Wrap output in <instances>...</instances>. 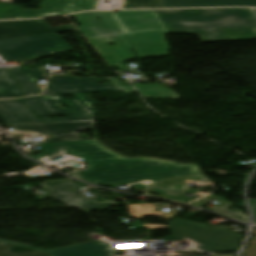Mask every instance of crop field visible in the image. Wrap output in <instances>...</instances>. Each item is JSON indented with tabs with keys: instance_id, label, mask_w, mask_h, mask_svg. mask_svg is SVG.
<instances>
[{
	"instance_id": "obj_1",
	"label": "crop field",
	"mask_w": 256,
	"mask_h": 256,
	"mask_svg": "<svg viewBox=\"0 0 256 256\" xmlns=\"http://www.w3.org/2000/svg\"><path fill=\"white\" fill-rule=\"evenodd\" d=\"M40 147L43 153L30 157L38 160L59 150L81 156L87 169L69 176L95 185L202 174L196 164L181 165L151 158L127 159L96 140L41 144Z\"/></svg>"
},
{
	"instance_id": "obj_2",
	"label": "crop field",
	"mask_w": 256,
	"mask_h": 256,
	"mask_svg": "<svg viewBox=\"0 0 256 256\" xmlns=\"http://www.w3.org/2000/svg\"><path fill=\"white\" fill-rule=\"evenodd\" d=\"M156 12L169 33L198 34L202 42L256 39V19L251 9L156 10Z\"/></svg>"
},
{
	"instance_id": "obj_3",
	"label": "crop field",
	"mask_w": 256,
	"mask_h": 256,
	"mask_svg": "<svg viewBox=\"0 0 256 256\" xmlns=\"http://www.w3.org/2000/svg\"><path fill=\"white\" fill-rule=\"evenodd\" d=\"M79 29L88 39L108 35H125L166 31L155 10L87 12L74 15ZM102 18V21L96 19Z\"/></svg>"
},
{
	"instance_id": "obj_4",
	"label": "crop field",
	"mask_w": 256,
	"mask_h": 256,
	"mask_svg": "<svg viewBox=\"0 0 256 256\" xmlns=\"http://www.w3.org/2000/svg\"><path fill=\"white\" fill-rule=\"evenodd\" d=\"M173 236L164 240H189L192 247L207 252H237L243 234L227 229L181 220L177 217L168 222Z\"/></svg>"
},
{
	"instance_id": "obj_5",
	"label": "crop field",
	"mask_w": 256,
	"mask_h": 256,
	"mask_svg": "<svg viewBox=\"0 0 256 256\" xmlns=\"http://www.w3.org/2000/svg\"><path fill=\"white\" fill-rule=\"evenodd\" d=\"M166 33L168 32L125 36L114 35L91 39L89 41L95 46L110 66H118L121 70H124L125 68L119 61L136 58L128 47L136 45L139 54L166 52L167 49H169L163 36V34ZM111 41H115L117 45L109 47L107 42Z\"/></svg>"
},
{
	"instance_id": "obj_6",
	"label": "crop field",
	"mask_w": 256,
	"mask_h": 256,
	"mask_svg": "<svg viewBox=\"0 0 256 256\" xmlns=\"http://www.w3.org/2000/svg\"><path fill=\"white\" fill-rule=\"evenodd\" d=\"M73 100H65L61 96L32 97L20 99L37 117H43L45 122L92 120L99 114L90 105L96 104L85 94L74 95ZM67 103L70 108H63L59 104ZM45 114L65 115L67 118L48 119Z\"/></svg>"
},
{
	"instance_id": "obj_7",
	"label": "crop field",
	"mask_w": 256,
	"mask_h": 256,
	"mask_svg": "<svg viewBox=\"0 0 256 256\" xmlns=\"http://www.w3.org/2000/svg\"><path fill=\"white\" fill-rule=\"evenodd\" d=\"M39 49L58 51L72 48L57 34L0 41V56L7 62L36 58L38 56L33 52Z\"/></svg>"
},
{
	"instance_id": "obj_8",
	"label": "crop field",
	"mask_w": 256,
	"mask_h": 256,
	"mask_svg": "<svg viewBox=\"0 0 256 256\" xmlns=\"http://www.w3.org/2000/svg\"><path fill=\"white\" fill-rule=\"evenodd\" d=\"M13 70L26 96L36 95L42 91L38 88L37 79L45 76L41 75L40 69L26 70L23 67L10 68ZM23 93L10 74L8 69H0V98H12L22 96Z\"/></svg>"
},
{
	"instance_id": "obj_9",
	"label": "crop field",
	"mask_w": 256,
	"mask_h": 256,
	"mask_svg": "<svg viewBox=\"0 0 256 256\" xmlns=\"http://www.w3.org/2000/svg\"><path fill=\"white\" fill-rule=\"evenodd\" d=\"M7 127L15 128L18 131L25 130L34 131L38 133L50 132L53 135L54 139L44 140L45 143L96 139L89 138L87 136L80 135L77 133V131L95 129L93 121L58 122L34 125H15Z\"/></svg>"
},
{
	"instance_id": "obj_10",
	"label": "crop field",
	"mask_w": 256,
	"mask_h": 256,
	"mask_svg": "<svg viewBox=\"0 0 256 256\" xmlns=\"http://www.w3.org/2000/svg\"><path fill=\"white\" fill-rule=\"evenodd\" d=\"M45 186L47 191H49L51 198L62 201L64 203L74 202L81 206L86 212L117 206L112 201H94L93 197L95 196L93 194L88 191H81L80 186L75 184L73 181L49 184Z\"/></svg>"
},
{
	"instance_id": "obj_11",
	"label": "crop field",
	"mask_w": 256,
	"mask_h": 256,
	"mask_svg": "<svg viewBox=\"0 0 256 256\" xmlns=\"http://www.w3.org/2000/svg\"><path fill=\"white\" fill-rule=\"evenodd\" d=\"M100 79H74V77H53L43 96L66 95L88 93L108 90L109 92L119 91L112 84L99 85Z\"/></svg>"
},
{
	"instance_id": "obj_12",
	"label": "crop field",
	"mask_w": 256,
	"mask_h": 256,
	"mask_svg": "<svg viewBox=\"0 0 256 256\" xmlns=\"http://www.w3.org/2000/svg\"><path fill=\"white\" fill-rule=\"evenodd\" d=\"M76 30L73 25L52 28L43 20L0 22V39L60 33Z\"/></svg>"
},
{
	"instance_id": "obj_13",
	"label": "crop field",
	"mask_w": 256,
	"mask_h": 256,
	"mask_svg": "<svg viewBox=\"0 0 256 256\" xmlns=\"http://www.w3.org/2000/svg\"><path fill=\"white\" fill-rule=\"evenodd\" d=\"M0 119L5 125L43 123L17 100L0 101Z\"/></svg>"
},
{
	"instance_id": "obj_14",
	"label": "crop field",
	"mask_w": 256,
	"mask_h": 256,
	"mask_svg": "<svg viewBox=\"0 0 256 256\" xmlns=\"http://www.w3.org/2000/svg\"><path fill=\"white\" fill-rule=\"evenodd\" d=\"M112 249V248H111ZM102 241L55 248L49 250L52 256H113L114 252Z\"/></svg>"
},
{
	"instance_id": "obj_15",
	"label": "crop field",
	"mask_w": 256,
	"mask_h": 256,
	"mask_svg": "<svg viewBox=\"0 0 256 256\" xmlns=\"http://www.w3.org/2000/svg\"><path fill=\"white\" fill-rule=\"evenodd\" d=\"M161 8L250 6L256 7V0H159Z\"/></svg>"
},
{
	"instance_id": "obj_16",
	"label": "crop field",
	"mask_w": 256,
	"mask_h": 256,
	"mask_svg": "<svg viewBox=\"0 0 256 256\" xmlns=\"http://www.w3.org/2000/svg\"><path fill=\"white\" fill-rule=\"evenodd\" d=\"M63 0H44L39 10L22 9L18 18L56 16Z\"/></svg>"
},
{
	"instance_id": "obj_17",
	"label": "crop field",
	"mask_w": 256,
	"mask_h": 256,
	"mask_svg": "<svg viewBox=\"0 0 256 256\" xmlns=\"http://www.w3.org/2000/svg\"><path fill=\"white\" fill-rule=\"evenodd\" d=\"M144 98L179 99V96L170 88L165 89L160 84H134Z\"/></svg>"
},
{
	"instance_id": "obj_18",
	"label": "crop field",
	"mask_w": 256,
	"mask_h": 256,
	"mask_svg": "<svg viewBox=\"0 0 256 256\" xmlns=\"http://www.w3.org/2000/svg\"><path fill=\"white\" fill-rule=\"evenodd\" d=\"M97 2L98 0H64L57 16L80 11L96 10Z\"/></svg>"
},
{
	"instance_id": "obj_19",
	"label": "crop field",
	"mask_w": 256,
	"mask_h": 256,
	"mask_svg": "<svg viewBox=\"0 0 256 256\" xmlns=\"http://www.w3.org/2000/svg\"><path fill=\"white\" fill-rule=\"evenodd\" d=\"M0 256H50L47 253L0 242Z\"/></svg>"
},
{
	"instance_id": "obj_20",
	"label": "crop field",
	"mask_w": 256,
	"mask_h": 256,
	"mask_svg": "<svg viewBox=\"0 0 256 256\" xmlns=\"http://www.w3.org/2000/svg\"><path fill=\"white\" fill-rule=\"evenodd\" d=\"M160 8L158 0H126L123 9Z\"/></svg>"
},
{
	"instance_id": "obj_21",
	"label": "crop field",
	"mask_w": 256,
	"mask_h": 256,
	"mask_svg": "<svg viewBox=\"0 0 256 256\" xmlns=\"http://www.w3.org/2000/svg\"><path fill=\"white\" fill-rule=\"evenodd\" d=\"M22 7L13 4L0 3V19L17 18Z\"/></svg>"
},
{
	"instance_id": "obj_22",
	"label": "crop field",
	"mask_w": 256,
	"mask_h": 256,
	"mask_svg": "<svg viewBox=\"0 0 256 256\" xmlns=\"http://www.w3.org/2000/svg\"><path fill=\"white\" fill-rule=\"evenodd\" d=\"M230 204H231V203H228V204H226V205H224V206H222V207H219V208L213 210V212L220 213V214L225 215V216H228V217H230V218L238 219V220L243 221V222H245V223L249 222L248 216L245 215V214H244L242 211H240L239 209H238V212H239V213H235V212H232V211L228 210L227 207H229Z\"/></svg>"
},
{
	"instance_id": "obj_23",
	"label": "crop field",
	"mask_w": 256,
	"mask_h": 256,
	"mask_svg": "<svg viewBox=\"0 0 256 256\" xmlns=\"http://www.w3.org/2000/svg\"><path fill=\"white\" fill-rule=\"evenodd\" d=\"M213 200H215V201L220 203L217 207L222 206V205L228 203V201L226 199H224L223 197H221V196L210 195L208 197H205L203 199L195 201V202H193V203H191L189 205L196 206V207H201V206H204V205L208 204L209 202H211ZM217 207L209 208V210H213V209H215Z\"/></svg>"
},
{
	"instance_id": "obj_24",
	"label": "crop field",
	"mask_w": 256,
	"mask_h": 256,
	"mask_svg": "<svg viewBox=\"0 0 256 256\" xmlns=\"http://www.w3.org/2000/svg\"><path fill=\"white\" fill-rule=\"evenodd\" d=\"M243 256H256V239L252 238Z\"/></svg>"
},
{
	"instance_id": "obj_25",
	"label": "crop field",
	"mask_w": 256,
	"mask_h": 256,
	"mask_svg": "<svg viewBox=\"0 0 256 256\" xmlns=\"http://www.w3.org/2000/svg\"><path fill=\"white\" fill-rule=\"evenodd\" d=\"M112 84L117 87L121 92L124 93H132V92H136L131 85H127V86H122L116 79L112 80Z\"/></svg>"
},
{
	"instance_id": "obj_26",
	"label": "crop field",
	"mask_w": 256,
	"mask_h": 256,
	"mask_svg": "<svg viewBox=\"0 0 256 256\" xmlns=\"http://www.w3.org/2000/svg\"><path fill=\"white\" fill-rule=\"evenodd\" d=\"M0 241L6 242V243H15V244H18V245H21V246H24V247H28V248H32V249H36V250H40V251H44V252L48 251L46 249H41V248H37V247L30 246V245H26V244H22V243H18V242H13V241L5 240V239H0Z\"/></svg>"
},
{
	"instance_id": "obj_27",
	"label": "crop field",
	"mask_w": 256,
	"mask_h": 256,
	"mask_svg": "<svg viewBox=\"0 0 256 256\" xmlns=\"http://www.w3.org/2000/svg\"><path fill=\"white\" fill-rule=\"evenodd\" d=\"M249 202L251 204V207H252V210H253V213H254V216H255V224H256V200L255 199H250Z\"/></svg>"
},
{
	"instance_id": "obj_28",
	"label": "crop field",
	"mask_w": 256,
	"mask_h": 256,
	"mask_svg": "<svg viewBox=\"0 0 256 256\" xmlns=\"http://www.w3.org/2000/svg\"><path fill=\"white\" fill-rule=\"evenodd\" d=\"M26 134H30V132H25V133H16V134H12V136H13V137L20 136V135L25 136Z\"/></svg>"
},
{
	"instance_id": "obj_29",
	"label": "crop field",
	"mask_w": 256,
	"mask_h": 256,
	"mask_svg": "<svg viewBox=\"0 0 256 256\" xmlns=\"http://www.w3.org/2000/svg\"><path fill=\"white\" fill-rule=\"evenodd\" d=\"M215 256H235V255H215Z\"/></svg>"
},
{
	"instance_id": "obj_30",
	"label": "crop field",
	"mask_w": 256,
	"mask_h": 256,
	"mask_svg": "<svg viewBox=\"0 0 256 256\" xmlns=\"http://www.w3.org/2000/svg\"><path fill=\"white\" fill-rule=\"evenodd\" d=\"M253 235H255V236H256V229H254V231H253Z\"/></svg>"
}]
</instances>
